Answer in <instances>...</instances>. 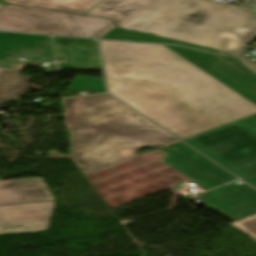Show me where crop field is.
<instances>
[{"label":"crop field","mask_w":256,"mask_h":256,"mask_svg":"<svg viewBox=\"0 0 256 256\" xmlns=\"http://www.w3.org/2000/svg\"><path fill=\"white\" fill-rule=\"evenodd\" d=\"M53 61L50 37L0 32V59L16 61Z\"/></svg>","instance_id":"obj_11"},{"label":"crop field","mask_w":256,"mask_h":256,"mask_svg":"<svg viewBox=\"0 0 256 256\" xmlns=\"http://www.w3.org/2000/svg\"><path fill=\"white\" fill-rule=\"evenodd\" d=\"M11 4L83 14L101 0H4Z\"/></svg>","instance_id":"obj_17"},{"label":"crop field","mask_w":256,"mask_h":256,"mask_svg":"<svg viewBox=\"0 0 256 256\" xmlns=\"http://www.w3.org/2000/svg\"><path fill=\"white\" fill-rule=\"evenodd\" d=\"M255 36H256V35H255ZM255 36H254V37H255Z\"/></svg>","instance_id":"obj_26"},{"label":"crop field","mask_w":256,"mask_h":256,"mask_svg":"<svg viewBox=\"0 0 256 256\" xmlns=\"http://www.w3.org/2000/svg\"><path fill=\"white\" fill-rule=\"evenodd\" d=\"M86 90L91 93L105 92L102 78L76 76L74 81L68 86V91Z\"/></svg>","instance_id":"obj_19"},{"label":"crop field","mask_w":256,"mask_h":256,"mask_svg":"<svg viewBox=\"0 0 256 256\" xmlns=\"http://www.w3.org/2000/svg\"><path fill=\"white\" fill-rule=\"evenodd\" d=\"M107 84L110 93L182 139L256 113L245 98L200 113L154 83L107 79Z\"/></svg>","instance_id":"obj_3"},{"label":"crop field","mask_w":256,"mask_h":256,"mask_svg":"<svg viewBox=\"0 0 256 256\" xmlns=\"http://www.w3.org/2000/svg\"><path fill=\"white\" fill-rule=\"evenodd\" d=\"M55 57L67 58V62L99 63L95 41L53 37Z\"/></svg>","instance_id":"obj_14"},{"label":"crop field","mask_w":256,"mask_h":256,"mask_svg":"<svg viewBox=\"0 0 256 256\" xmlns=\"http://www.w3.org/2000/svg\"><path fill=\"white\" fill-rule=\"evenodd\" d=\"M108 95L64 99L72 159L82 174L179 142Z\"/></svg>","instance_id":"obj_1"},{"label":"crop field","mask_w":256,"mask_h":256,"mask_svg":"<svg viewBox=\"0 0 256 256\" xmlns=\"http://www.w3.org/2000/svg\"><path fill=\"white\" fill-rule=\"evenodd\" d=\"M231 224L249 236L256 238V215Z\"/></svg>","instance_id":"obj_20"},{"label":"crop field","mask_w":256,"mask_h":256,"mask_svg":"<svg viewBox=\"0 0 256 256\" xmlns=\"http://www.w3.org/2000/svg\"><path fill=\"white\" fill-rule=\"evenodd\" d=\"M3 7H5V5H3V4H0V10H1Z\"/></svg>","instance_id":"obj_24"},{"label":"crop field","mask_w":256,"mask_h":256,"mask_svg":"<svg viewBox=\"0 0 256 256\" xmlns=\"http://www.w3.org/2000/svg\"><path fill=\"white\" fill-rule=\"evenodd\" d=\"M165 47L256 105V75L236 60L184 47Z\"/></svg>","instance_id":"obj_7"},{"label":"crop field","mask_w":256,"mask_h":256,"mask_svg":"<svg viewBox=\"0 0 256 256\" xmlns=\"http://www.w3.org/2000/svg\"><path fill=\"white\" fill-rule=\"evenodd\" d=\"M238 6L256 18V0H247Z\"/></svg>","instance_id":"obj_22"},{"label":"crop field","mask_w":256,"mask_h":256,"mask_svg":"<svg viewBox=\"0 0 256 256\" xmlns=\"http://www.w3.org/2000/svg\"><path fill=\"white\" fill-rule=\"evenodd\" d=\"M184 141L256 187V115Z\"/></svg>","instance_id":"obj_5"},{"label":"crop field","mask_w":256,"mask_h":256,"mask_svg":"<svg viewBox=\"0 0 256 256\" xmlns=\"http://www.w3.org/2000/svg\"><path fill=\"white\" fill-rule=\"evenodd\" d=\"M201 198L205 206L220 211L234 221L256 214V190L242 183L232 182L205 192Z\"/></svg>","instance_id":"obj_10"},{"label":"crop field","mask_w":256,"mask_h":256,"mask_svg":"<svg viewBox=\"0 0 256 256\" xmlns=\"http://www.w3.org/2000/svg\"><path fill=\"white\" fill-rule=\"evenodd\" d=\"M101 38L125 40V41H141V42H156V43H164V44H177V45H184V46H188V47H192V48H197V49H201V50L219 53L216 51H212V50H208V49H204V48H200V47H196V46H192V45L181 44V43H178L175 41L158 38L156 36L143 35V34H139L137 32L123 31L117 27H115L112 31H110L108 34H106L105 36H103Z\"/></svg>","instance_id":"obj_18"},{"label":"crop field","mask_w":256,"mask_h":256,"mask_svg":"<svg viewBox=\"0 0 256 256\" xmlns=\"http://www.w3.org/2000/svg\"><path fill=\"white\" fill-rule=\"evenodd\" d=\"M118 26L230 52L256 31V19L228 3L151 0Z\"/></svg>","instance_id":"obj_2"},{"label":"crop field","mask_w":256,"mask_h":256,"mask_svg":"<svg viewBox=\"0 0 256 256\" xmlns=\"http://www.w3.org/2000/svg\"><path fill=\"white\" fill-rule=\"evenodd\" d=\"M161 150L164 163L206 190L237 179L181 142Z\"/></svg>","instance_id":"obj_8"},{"label":"crop field","mask_w":256,"mask_h":256,"mask_svg":"<svg viewBox=\"0 0 256 256\" xmlns=\"http://www.w3.org/2000/svg\"><path fill=\"white\" fill-rule=\"evenodd\" d=\"M63 68L101 70L99 65L63 63Z\"/></svg>","instance_id":"obj_23"},{"label":"crop field","mask_w":256,"mask_h":256,"mask_svg":"<svg viewBox=\"0 0 256 256\" xmlns=\"http://www.w3.org/2000/svg\"><path fill=\"white\" fill-rule=\"evenodd\" d=\"M156 84L200 112L241 98L230 89L160 83Z\"/></svg>","instance_id":"obj_12"},{"label":"crop field","mask_w":256,"mask_h":256,"mask_svg":"<svg viewBox=\"0 0 256 256\" xmlns=\"http://www.w3.org/2000/svg\"><path fill=\"white\" fill-rule=\"evenodd\" d=\"M21 70L0 69V105L25 96L31 77L21 76Z\"/></svg>","instance_id":"obj_16"},{"label":"crop field","mask_w":256,"mask_h":256,"mask_svg":"<svg viewBox=\"0 0 256 256\" xmlns=\"http://www.w3.org/2000/svg\"><path fill=\"white\" fill-rule=\"evenodd\" d=\"M54 202L1 205L0 234L47 230Z\"/></svg>","instance_id":"obj_9"},{"label":"crop field","mask_w":256,"mask_h":256,"mask_svg":"<svg viewBox=\"0 0 256 256\" xmlns=\"http://www.w3.org/2000/svg\"><path fill=\"white\" fill-rule=\"evenodd\" d=\"M250 47L244 46L242 49H240L237 53L231 54L230 56H233L237 58L240 62H242L246 67L252 69L254 72H256V63L250 60L244 53L248 51Z\"/></svg>","instance_id":"obj_21"},{"label":"crop field","mask_w":256,"mask_h":256,"mask_svg":"<svg viewBox=\"0 0 256 256\" xmlns=\"http://www.w3.org/2000/svg\"><path fill=\"white\" fill-rule=\"evenodd\" d=\"M0 3H3V4H5V5H7L6 3H4V2H3V1H1V0H0Z\"/></svg>","instance_id":"obj_25"},{"label":"crop field","mask_w":256,"mask_h":256,"mask_svg":"<svg viewBox=\"0 0 256 256\" xmlns=\"http://www.w3.org/2000/svg\"><path fill=\"white\" fill-rule=\"evenodd\" d=\"M148 1L150 0H105L86 14L112 18L117 25Z\"/></svg>","instance_id":"obj_15"},{"label":"crop field","mask_w":256,"mask_h":256,"mask_svg":"<svg viewBox=\"0 0 256 256\" xmlns=\"http://www.w3.org/2000/svg\"><path fill=\"white\" fill-rule=\"evenodd\" d=\"M112 27V20L11 4L0 11V31L98 38Z\"/></svg>","instance_id":"obj_6"},{"label":"crop field","mask_w":256,"mask_h":256,"mask_svg":"<svg viewBox=\"0 0 256 256\" xmlns=\"http://www.w3.org/2000/svg\"><path fill=\"white\" fill-rule=\"evenodd\" d=\"M106 78L227 88L163 45L99 41Z\"/></svg>","instance_id":"obj_4"},{"label":"crop field","mask_w":256,"mask_h":256,"mask_svg":"<svg viewBox=\"0 0 256 256\" xmlns=\"http://www.w3.org/2000/svg\"><path fill=\"white\" fill-rule=\"evenodd\" d=\"M54 200L42 178L0 181V205Z\"/></svg>","instance_id":"obj_13"}]
</instances>
